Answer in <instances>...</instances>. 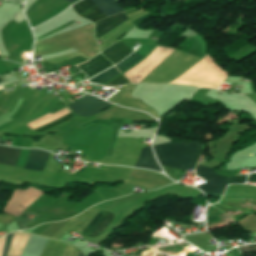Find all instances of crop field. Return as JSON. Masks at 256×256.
<instances>
[{"instance_id":"obj_1","label":"crop field","mask_w":256,"mask_h":256,"mask_svg":"<svg viewBox=\"0 0 256 256\" xmlns=\"http://www.w3.org/2000/svg\"><path fill=\"white\" fill-rule=\"evenodd\" d=\"M153 149L160 165L184 171L194 169L200 155L199 142H168Z\"/></svg>"},{"instance_id":"obj_2","label":"crop field","mask_w":256,"mask_h":256,"mask_svg":"<svg viewBox=\"0 0 256 256\" xmlns=\"http://www.w3.org/2000/svg\"><path fill=\"white\" fill-rule=\"evenodd\" d=\"M92 3L99 9V11L104 14L109 11L119 9L120 6L116 3L115 0H91ZM90 0H82L76 3L73 7L75 12L88 19H92L101 13L98 9L91 3Z\"/></svg>"},{"instance_id":"obj_3","label":"crop field","mask_w":256,"mask_h":256,"mask_svg":"<svg viewBox=\"0 0 256 256\" xmlns=\"http://www.w3.org/2000/svg\"><path fill=\"white\" fill-rule=\"evenodd\" d=\"M197 175L207 181L197 186L204 194L221 195L229 177L216 176L214 169L197 165Z\"/></svg>"},{"instance_id":"obj_4","label":"crop field","mask_w":256,"mask_h":256,"mask_svg":"<svg viewBox=\"0 0 256 256\" xmlns=\"http://www.w3.org/2000/svg\"><path fill=\"white\" fill-rule=\"evenodd\" d=\"M110 104L94 98L88 94L83 96L81 99L75 101L74 103L68 105L69 108L76 114L81 116H91Z\"/></svg>"},{"instance_id":"obj_5","label":"crop field","mask_w":256,"mask_h":256,"mask_svg":"<svg viewBox=\"0 0 256 256\" xmlns=\"http://www.w3.org/2000/svg\"><path fill=\"white\" fill-rule=\"evenodd\" d=\"M113 216L106 211H99L81 234L88 237L98 236L105 230Z\"/></svg>"},{"instance_id":"obj_6","label":"crop field","mask_w":256,"mask_h":256,"mask_svg":"<svg viewBox=\"0 0 256 256\" xmlns=\"http://www.w3.org/2000/svg\"><path fill=\"white\" fill-rule=\"evenodd\" d=\"M111 66L113 65L100 54L96 55L93 59L79 65V67L87 73V80Z\"/></svg>"},{"instance_id":"obj_7","label":"crop field","mask_w":256,"mask_h":256,"mask_svg":"<svg viewBox=\"0 0 256 256\" xmlns=\"http://www.w3.org/2000/svg\"><path fill=\"white\" fill-rule=\"evenodd\" d=\"M127 17L124 15V13L115 15L110 18L103 19L97 23H95V37L96 39L100 36L104 35L111 29L118 26L120 23H122L124 20H126Z\"/></svg>"},{"instance_id":"obj_8","label":"crop field","mask_w":256,"mask_h":256,"mask_svg":"<svg viewBox=\"0 0 256 256\" xmlns=\"http://www.w3.org/2000/svg\"><path fill=\"white\" fill-rule=\"evenodd\" d=\"M132 51L128 49L124 44H122L120 41L113 44L109 48H107L105 51L101 52L107 59H109L114 64L126 57L128 54H130Z\"/></svg>"},{"instance_id":"obj_9","label":"crop field","mask_w":256,"mask_h":256,"mask_svg":"<svg viewBox=\"0 0 256 256\" xmlns=\"http://www.w3.org/2000/svg\"><path fill=\"white\" fill-rule=\"evenodd\" d=\"M134 166L162 172L153 156L150 146L141 149L140 156Z\"/></svg>"},{"instance_id":"obj_10","label":"crop field","mask_w":256,"mask_h":256,"mask_svg":"<svg viewBox=\"0 0 256 256\" xmlns=\"http://www.w3.org/2000/svg\"><path fill=\"white\" fill-rule=\"evenodd\" d=\"M47 152L31 149L28 162L24 169L41 171L48 157Z\"/></svg>"},{"instance_id":"obj_11","label":"crop field","mask_w":256,"mask_h":256,"mask_svg":"<svg viewBox=\"0 0 256 256\" xmlns=\"http://www.w3.org/2000/svg\"><path fill=\"white\" fill-rule=\"evenodd\" d=\"M19 151L20 150L17 149H9L0 146V163L14 166L18 159Z\"/></svg>"},{"instance_id":"obj_12","label":"crop field","mask_w":256,"mask_h":256,"mask_svg":"<svg viewBox=\"0 0 256 256\" xmlns=\"http://www.w3.org/2000/svg\"><path fill=\"white\" fill-rule=\"evenodd\" d=\"M115 67V66H114ZM111 68V69H109V70H107V71H105V72H103L102 74H100V75H98V76H96V77H94L93 79H91V80H89V81H91V82H95V83H99V84H102V83H104V82H106V81H108L109 79H111L112 77H114L115 75H117V74H119L117 71H116V69L115 68Z\"/></svg>"},{"instance_id":"obj_13","label":"crop field","mask_w":256,"mask_h":256,"mask_svg":"<svg viewBox=\"0 0 256 256\" xmlns=\"http://www.w3.org/2000/svg\"><path fill=\"white\" fill-rule=\"evenodd\" d=\"M143 55H139V54H135L133 53L132 55H130L128 58H126L125 60H123L121 63H119L117 66V68L121 71H123L124 69H126L127 67L131 66L132 64H134L135 62H137L140 58H142Z\"/></svg>"},{"instance_id":"obj_14","label":"crop field","mask_w":256,"mask_h":256,"mask_svg":"<svg viewBox=\"0 0 256 256\" xmlns=\"http://www.w3.org/2000/svg\"><path fill=\"white\" fill-rule=\"evenodd\" d=\"M71 117H73L72 114L67 115V116H65V117H63V118H61V119H59V120H57V121H55V122H53V123H51V124L45 126V127H42V128H40V129H38V130H35V131L43 132V131H45V130H47V129H49V128H51V127H53V126H55V125H57V124H59V123H62V122H64V121L68 120V119L71 118Z\"/></svg>"},{"instance_id":"obj_15","label":"crop field","mask_w":256,"mask_h":256,"mask_svg":"<svg viewBox=\"0 0 256 256\" xmlns=\"http://www.w3.org/2000/svg\"><path fill=\"white\" fill-rule=\"evenodd\" d=\"M125 83H129V82L121 75L118 78H116L115 80L108 83L107 85H121V84H125Z\"/></svg>"},{"instance_id":"obj_16","label":"crop field","mask_w":256,"mask_h":256,"mask_svg":"<svg viewBox=\"0 0 256 256\" xmlns=\"http://www.w3.org/2000/svg\"><path fill=\"white\" fill-rule=\"evenodd\" d=\"M238 249H239L240 253L256 252V245L240 247Z\"/></svg>"},{"instance_id":"obj_17","label":"crop field","mask_w":256,"mask_h":256,"mask_svg":"<svg viewBox=\"0 0 256 256\" xmlns=\"http://www.w3.org/2000/svg\"><path fill=\"white\" fill-rule=\"evenodd\" d=\"M12 234H8L7 237H6V241H5V244H4L2 256H6V254H7V250H8V246H9Z\"/></svg>"},{"instance_id":"obj_18","label":"crop field","mask_w":256,"mask_h":256,"mask_svg":"<svg viewBox=\"0 0 256 256\" xmlns=\"http://www.w3.org/2000/svg\"><path fill=\"white\" fill-rule=\"evenodd\" d=\"M246 180V176H242V177H231L229 184L231 183H245Z\"/></svg>"},{"instance_id":"obj_19","label":"crop field","mask_w":256,"mask_h":256,"mask_svg":"<svg viewBox=\"0 0 256 256\" xmlns=\"http://www.w3.org/2000/svg\"><path fill=\"white\" fill-rule=\"evenodd\" d=\"M249 181H255L256 182V175L255 174H252L249 178H248Z\"/></svg>"},{"instance_id":"obj_20","label":"crop field","mask_w":256,"mask_h":256,"mask_svg":"<svg viewBox=\"0 0 256 256\" xmlns=\"http://www.w3.org/2000/svg\"><path fill=\"white\" fill-rule=\"evenodd\" d=\"M67 1H69V3H71V2H73V1H75V0H67Z\"/></svg>"},{"instance_id":"obj_21","label":"crop field","mask_w":256,"mask_h":256,"mask_svg":"<svg viewBox=\"0 0 256 256\" xmlns=\"http://www.w3.org/2000/svg\"><path fill=\"white\" fill-rule=\"evenodd\" d=\"M79 256H84V255H82V254L80 253Z\"/></svg>"},{"instance_id":"obj_22","label":"crop field","mask_w":256,"mask_h":256,"mask_svg":"<svg viewBox=\"0 0 256 256\" xmlns=\"http://www.w3.org/2000/svg\"><path fill=\"white\" fill-rule=\"evenodd\" d=\"M3 80L0 78V82H2Z\"/></svg>"},{"instance_id":"obj_23","label":"crop field","mask_w":256,"mask_h":256,"mask_svg":"<svg viewBox=\"0 0 256 256\" xmlns=\"http://www.w3.org/2000/svg\"><path fill=\"white\" fill-rule=\"evenodd\" d=\"M69 112H71L70 110H68Z\"/></svg>"}]
</instances>
